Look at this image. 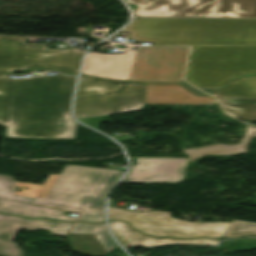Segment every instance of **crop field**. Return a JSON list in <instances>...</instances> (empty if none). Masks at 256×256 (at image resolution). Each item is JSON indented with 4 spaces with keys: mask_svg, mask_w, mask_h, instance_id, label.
I'll return each mask as SVG.
<instances>
[{
    "mask_svg": "<svg viewBox=\"0 0 256 256\" xmlns=\"http://www.w3.org/2000/svg\"><path fill=\"white\" fill-rule=\"evenodd\" d=\"M123 172L65 165L60 175H49L43 187L0 174V212L28 218L75 221L76 218L65 216L62 211L37 205L73 212L103 210L107 192ZM17 186L29 189L21 188L23 191L19 192Z\"/></svg>",
    "mask_w": 256,
    "mask_h": 256,
    "instance_id": "crop-field-1",
    "label": "crop field"
},
{
    "mask_svg": "<svg viewBox=\"0 0 256 256\" xmlns=\"http://www.w3.org/2000/svg\"><path fill=\"white\" fill-rule=\"evenodd\" d=\"M76 77L0 76V123L6 136L72 138L71 94Z\"/></svg>",
    "mask_w": 256,
    "mask_h": 256,
    "instance_id": "crop-field-2",
    "label": "crop field"
},
{
    "mask_svg": "<svg viewBox=\"0 0 256 256\" xmlns=\"http://www.w3.org/2000/svg\"><path fill=\"white\" fill-rule=\"evenodd\" d=\"M119 32L135 41L175 45H256L252 19H143Z\"/></svg>",
    "mask_w": 256,
    "mask_h": 256,
    "instance_id": "crop-field-3",
    "label": "crop field"
},
{
    "mask_svg": "<svg viewBox=\"0 0 256 256\" xmlns=\"http://www.w3.org/2000/svg\"><path fill=\"white\" fill-rule=\"evenodd\" d=\"M189 47H146L124 54L86 56L82 73L102 78L145 81H182Z\"/></svg>",
    "mask_w": 256,
    "mask_h": 256,
    "instance_id": "crop-field-4",
    "label": "crop field"
},
{
    "mask_svg": "<svg viewBox=\"0 0 256 256\" xmlns=\"http://www.w3.org/2000/svg\"><path fill=\"white\" fill-rule=\"evenodd\" d=\"M256 74V46H192L185 80L195 86L221 87Z\"/></svg>",
    "mask_w": 256,
    "mask_h": 256,
    "instance_id": "crop-field-5",
    "label": "crop field"
},
{
    "mask_svg": "<svg viewBox=\"0 0 256 256\" xmlns=\"http://www.w3.org/2000/svg\"><path fill=\"white\" fill-rule=\"evenodd\" d=\"M145 84L82 76L75 98L76 118L143 108Z\"/></svg>",
    "mask_w": 256,
    "mask_h": 256,
    "instance_id": "crop-field-6",
    "label": "crop field"
},
{
    "mask_svg": "<svg viewBox=\"0 0 256 256\" xmlns=\"http://www.w3.org/2000/svg\"><path fill=\"white\" fill-rule=\"evenodd\" d=\"M137 17H256V0H125Z\"/></svg>",
    "mask_w": 256,
    "mask_h": 256,
    "instance_id": "crop-field-7",
    "label": "crop field"
},
{
    "mask_svg": "<svg viewBox=\"0 0 256 256\" xmlns=\"http://www.w3.org/2000/svg\"><path fill=\"white\" fill-rule=\"evenodd\" d=\"M83 51L49 50L46 44L24 43V38L0 37V74L31 67H57L77 73Z\"/></svg>",
    "mask_w": 256,
    "mask_h": 256,
    "instance_id": "crop-field-8",
    "label": "crop field"
},
{
    "mask_svg": "<svg viewBox=\"0 0 256 256\" xmlns=\"http://www.w3.org/2000/svg\"><path fill=\"white\" fill-rule=\"evenodd\" d=\"M165 212H141L109 209V221L121 220L128 222L133 228L157 237H223L230 223H197L185 222L169 217Z\"/></svg>",
    "mask_w": 256,
    "mask_h": 256,
    "instance_id": "crop-field-9",
    "label": "crop field"
},
{
    "mask_svg": "<svg viewBox=\"0 0 256 256\" xmlns=\"http://www.w3.org/2000/svg\"><path fill=\"white\" fill-rule=\"evenodd\" d=\"M223 112L239 119L256 120V98H241L232 96H214ZM256 136V128L248 127L243 140L239 144H217L196 149L184 150L189 156V162L207 154L234 155L246 153L247 145Z\"/></svg>",
    "mask_w": 256,
    "mask_h": 256,
    "instance_id": "crop-field-10",
    "label": "crop field"
},
{
    "mask_svg": "<svg viewBox=\"0 0 256 256\" xmlns=\"http://www.w3.org/2000/svg\"><path fill=\"white\" fill-rule=\"evenodd\" d=\"M187 158L139 157L121 183H177L184 180Z\"/></svg>",
    "mask_w": 256,
    "mask_h": 256,
    "instance_id": "crop-field-11",
    "label": "crop field"
},
{
    "mask_svg": "<svg viewBox=\"0 0 256 256\" xmlns=\"http://www.w3.org/2000/svg\"><path fill=\"white\" fill-rule=\"evenodd\" d=\"M73 223H62L48 219H28L0 213V254L22 256L23 250L12 243L21 229L49 230L50 233L66 236Z\"/></svg>",
    "mask_w": 256,
    "mask_h": 256,
    "instance_id": "crop-field-12",
    "label": "crop field"
},
{
    "mask_svg": "<svg viewBox=\"0 0 256 256\" xmlns=\"http://www.w3.org/2000/svg\"><path fill=\"white\" fill-rule=\"evenodd\" d=\"M89 235H93L94 238ZM67 239L71 240L69 243L73 250L88 256H101L117 246L109 236L105 223H75ZM81 245H87L89 249L80 248Z\"/></svg>",
    "mask_w": 256,
    "mask_h": 256,
    "instance_id": "crop-field-13",
    "label": "crop field"
},
{
    "mask_svg": "<svg viewBox=\"0 0 256 256\" xmlns=\"http://www.w3.org/2000/svg\"><path fill=\"white\" fill-rule=\"evenodd\" d=\"M212 97H199L178 84H146L144 104H212Z\"/></svg>",
    "mask_w": 256,
    "mask_h": 256,
    "instance_id": "crop-field-14",
    "label": "crop field"
},
{
    "mask_svg": "<svg viewBox=\"0 0 256 256\" xmlns=\"http://www.w3.org/2000/svg\"><path fill=\"white\" fill-rule=\"evenodd\" d=\"M112 232L117 238V240L125 246H130L138 244L141 246H153L157 238H151L145 235H142L130 228L127 223L112 221L110 222Z\"/></svg>",
    "mask_w": 256,
    "mask_h": 256,
    "instance_id": "crop-field-15",
    "label": "crop field"
},
{
    "mask_svg": "<svg viewBox=\"0 0 256 256\" xmlns=\"http://www.w3.org/2000/svg\"><path fill=\"white\" fill-rule=\"evenodd\" d=\"M214 94L256 97V76L240 78Z\"/></svg>",
    "mask_w": 256,
    "mask_h": 256,
    "instance_id": "crop-field-16",
    "label": "crop field"
},
{
    "mask_svg": "<svg viewBox=\"0 0 256 256\" xmlns=\"http://www.w3.org/2000/svg\"><path fill=\"white\" fill-rule=\"evenodd\" d=\"M256 235V223L232 220L224 237H239Z\"/></svg>",
    "mask_w": 256,
    "mask_h": 256,
    "instance_id": "crop-field-17",
    "label": "crop field"
},
{
    "mask_svg": "<svg viewBox=\"0 0 256 256\" xmlns=\"http://www.w3.org/2000/svg\"><path fill=\"white\" fill-rule=\"evenodd\" d=\"M218 241L219 240H212V239L176 240V239L158 238V240L154 245L174 244V243H203V244L216 245Z\"/></svg>",
    "mask_w": 256,
    "mask_h": 256,
    "instance_id": "crop-field-18",
    "label": "crop field"
},
{
    "mask_svg": "<svg viewBox=\"0 0 256 256\" xmlns=\"http://www.w3.org/2000/svg\"><path fill=\"white\" fill-rule=\"evenodd\" d=\"M77 221L99 223V222H104L105 219H104L103 212H91V213L80 214Z\"/></svg>",
    "mask_w": 256,
    "mask_h": 256,
    "instance_id": "crop-field-19",
    "label": "crop field"
}]
</instances>
